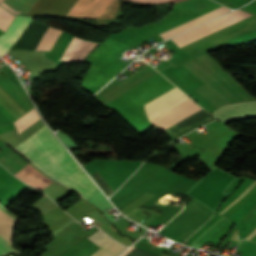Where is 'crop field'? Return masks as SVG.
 <instances>
[{"label":"crop field","mask_w":256,"mask_h":256,"mask_svg":"<svg viewBox=\"0 0 256 256\" xmlns=\"http://www.w3.org/2000/svg\"><path fill=\"white\" fill-rule=\"evenodd\" d=\"M14 149L43 172L86 199L97 188L46 125Z\"/></svg>","instance_id":"crop-field-1"},{"label":"crop field","mask_w":256,"mask_h":256,"mask_svg":"<svg viewBox=\"0 0 256 256\" xmlns=\"http://www.w3.org/2000/svg\"><path fill=\"white\" fill-rule=\"evenodd\" d=\"M188 99L189 98L187 96L175 87L144 104V109L148 119L150 120ZM200 109L202 108L189 99L188 101L150 120V122L164 130Z\"/></svg>","instance_id":"crop-field-2"},{"label":"crop field","mask_w":256,"mask_h":256,"mask_svg":"<svg viewBox=\"0 0 256 256\" xmlns=\"http://www.w3.org/2000/svg\"><path fill=\"white\" fill-rule=\"evenodd\" d=\"M61 32L62 31L58 29L50 27L36 50L50 51ZM96 45V43H92L73 36L60 59L65 61H82Z\"/></svg>","instance_id":"crop-field-3"},{"label":"crop field","mask_w":256,"mask_h":256,"mask_svg":"<svg viewBox=\"0 0 256 256\" xmlns=\"http://www.w3.org/2000/svg\"><path fill=\"white\" fill-rule=\"evenodd\" d=\"M250 15L236 10L218 19H215L205 25L196 27L180 36L172 38V40L179 46L190 43L196 39H199L205 35H208L214 31H217L223 27H226L232 23H235L241 19H244ZM182 47V46H181Z\"/></svg>","instance_id":"crop-field-4"},{"label":"crop field","mask_w":256,"mask_h":256,"mask_svg":"<svg viewBox=\"0 0 256 256\" xmlns=\"http://www.w3.org/2000/svg\"><path fill=\"white\" fill-rule=\"evenodd\" d=\"M33 18L17 16L8 30L0 36V56L19 38Z\"/></svg>","instance_id":"crop-field-5"},{"label":"crop field","mask_w":256,"mask_h":256,"mask_svg":"<svg viewBox=\"0 0 256 256\" xmlns=\"http://www.w3.org/2000/svg\"><path fill=\"white\" fill-rule=\"evenodd\" d=\"M101 248L92 256H118L126 247L118 244L106 234L98 230L88 237Z\"/></svg>","instance_id":"crop-field-6"},{"label":"crop field","mask_w":256,"mask_h":256,"mask_svg":"<svg viewBox=\"0 0 256 256\" xmlns=\"http://www.w3.org/2000/svg\"><path fill=\"white\" fill-rule=\"evenodd\" d=\"M52 0H39V2L34 6L28 16H34L35 14H40L46 10L48 5ZM77 0H53L49 5L44 14H64L70 11Z\"/></svg>","instance_id":"crop-field-7"},{"label":"crop field","mask_w":256,"mask_h":256,"mask_svg":"<svg viewBox=\"0 0 256 256\" xmlns=\"http://www.w3.org/2000/svg\"><path fill=\"white\" fill-rule=\"evenodd\" d=\"M214 115L223 122L235 118L256 116V103L225 106L216 111Z\"/></svg>","instance_id":"crop-field-8"},{"label":"crop field","mask_w":256,"mask_h":256,"mask_svg":"<svg viewBox=\"0 0 256 256\" xmlns=\"http://www.w3.org/2000/svg\"><path fill=\"white\" fill-rule=\"evenodd\" d=\"M229 11H230L229 9H227V8L222 6V7L218 8V9L212 11V12H209V13H207V14H205L203 16H200V17H198V18H196L194 20H191V21H189L187 23H184V24H182V25H180L178 27H175V28H173V29H171L169 31H166V32L160 34V36L164 40H166V39H168L170 37H173V36H175V35H177L179 33L184 32V31H186V30H188V29H190V28H192V27H194V26H196L198 24L204 23V22H206V21H208V20H210V19H212L214 17H217V16L222 15V14H224L226 12H229Z\"/></svg>","instance_id":"crop-field-9"},{"label":"crop field","mask_w":256,"mask_h":256,"mask_svg":"<svg viewBox=\"0 0 256 256\" xmlns=\"http://www.w3.org/2000/svg\"><path fill=\"white\" fill-rule=\"evenodd\" d=\"M15 176L40 190L44 189L46 186L53 182L42 175L30 164L15 174Z\"/></svg>","instance_id":"crop-field-10"},{"label":"crop field","mask_w":256,"mask_h":256,"mask_svg":"<svg viewBox=\"0 0 256 256\" xmlns=\"http://www.w3.org/2000/svg\"><path fill=\"white\" fill-rule=\"evenodd\" d=\"M39 116L34 109H32L30 112L25 114L23 117L18 119L16 122H14L15 126L18 129V133L22 132L24 129H26L28 126H30L35 121L39 120Z\"/></svg>","instance_id":"crop-field-11"},{"label":"crop field","mask_w":256,"mask_h":256,"mask_svg":"<svg viewBox=\"0 0 256 256\" xmlns=\"http://www.w3.org/2000/svg\"><path fill=\"white\" fill-rule=\"evenodd\" d=\"M14 17V15L0 6V29L5 31Z\"/></svg>","instance_id":"crop-field-12"},{"label":"crop field","mask_w":256,"mask_h":256,"mask_svg":"<svg viewBox=\"0 0 256 256\" xmlns=\"http://www.w3.org/2000/svg\"><path fill=\"white\" fill-rule=\"evenodd\" d=\"M94 174V173H93ZM94 180L99 184V186L105 191L108 196H111L114 192L111 187L105 182V180L99 175L96 171L95 174L92 176Z\"/></svg>","instance_id":"crop-field-13"},{"label":"crop field","mask_w":256,"mask_h":256,"mask_svg":"<svg viewBox=\"0 0 256 256\" xmlns=\"http://www.w3.org/2000/svg\"><path fill=\"white\" fill-rule=\"evenodd\" d=\"M10 252H16L12 244H10L5 239L0 237V255L7 254Z\"/></svg>","instance_id":"crop-field-14"},{"label":"crop field","mask_w":256,"mask_h":256,"mask_svg":"<svg viewBox=\"0 0 256 256\" xmlns=\"http://www.w3.org/2000/svg\"><path fill=\"white\" fill-rule=\"evenodd\" d=\"M256 185V180L249 186V188L236 200H234L231 204H229L220 214H222L227 208H229L233 203L237 200L241 199L249 190H251Z\"/></svg>","instance_id":"crop-field-15"},{"label":"crop field","mask_w":256,"mask_h":256,"mask_svg":"<svg viewBox=\"0 0 256 256\" xmlns=\"http://www.w3.org/2000/svg\"><path fill=\"white\" fill-rule=\"evenodd\" d=\"M254 235H256V228L246 237V239L250 240Z\"/></svg>","instance_id":"crop-field-16"},{"label":"crop field","mask_w":256,"mask_h":256,"mask_svg":"<svg viewBox=\"0 0 256 256\" xmlns=\"http://www.w3.org/2000/svg\"><path fill=\"white\" fill-rule=\"evenodd\" d=\"M1 1V0H0Z\"/></svg>","instance_id":"crop-field-17"}]
</instances>
